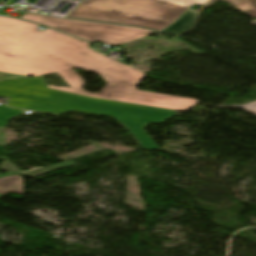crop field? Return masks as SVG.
<instances>
[{"label":"crop field","mask_w":256,"mask_h":256,"mask_svg":"<svg viewBox=\"0 0 256 256\" xmlns=\"http://www.w3.org/2000/svg\"><path fill=\"white\" fill-rule=\"evenodd\" d=\"M37 0H27V3H31V4H33V3H35Z\"/></svg>","instance_id":"12"},{"label":"crop field","mask_w":256,"mask_h":256,"mask_svg":"<svg viewBox=\"0 0 256 256\" xmlns=\"http://www.w3.org/2000/svg\"><path fill=\"white\" fill-rule=\"evenodd\" d=\"M195 19H196V12L194 10L189 9L179 19H177L171 26L162 30V32L176 34L179 32L186 31L192 27Z\"/></svg>","instance_id":"7"},{"label":"crop field","mask_w":256,"mask_h":256,"mask_svg":"<svg viewBox=\"0 0 256 256\" xmlns=\"http://www.w3.org/2000/svg\"><path fill=\"white\" fill-rule=\"evenodd\" d=\"M24 114L20 109L7 108L0 105V127L5 128L11 117Z\"/></svg>","instance_id":"9"},{"label":"crop field","mask_w":256,"mask_h":256,"mask_svg":"<svg viewBox=\"0 0 256 256\" xmlns=\"http://www.w3.org/2000/svg\"><path fill=\"white\" fill-rule=\"evenodd\" d=\"M76 165L75 163H69V162H65V163H61V164H57L55 166L49 167L47 169H44L42 167H38V168H34L31 170H27V171H19L12 163H10L7 159L2 163L1 165V169L8 171V172H16L19 173L21 175L27 176V177H36V176H40L43 174H47L53 171H57L69 166H73Z\"/></svg>","instance_id":"5"},{"label":"crop field","mask_w":256,"mask_h":256,"mask_svg":"<svg viewBox=\"0 0 256 256\" xmlns=\"http://www.w3.org/2000/svg\"><path fill=\"white\" fill-rule=\"evenodd\" d=\"M23 190L24 184L21 176L11 173L0 175V197L8 192L22 195Z\"/></svg>","instance_id":"6"},{"label":"crop field","mask_w":256,"mask_h":256,"mask_svg":"<svg viewBox=\"0 0 256 256\" xmlns=\"http://www.w3.org/2000/svg\"><path fill=\"white\" fill-rule=\"evenodd\" d=\"M208 0H83L66 17L162 30Z\"/></svg>","instance_id":"3"},{"label":"crop field","mask_w":256,"mask_h":256,"mask_svg":"<svg viewBox=\"0 0 256 256\" xmlns=\"http://www.w3.org/2000/svg\"><path fill=\"white\" fill-rule=\"evenodd\" d=\"M0 95L11 97L8 106L63 113L78 110L114 116L137 139L144 149H160L143 130L148 123H161L176 111L82 97L46 88L44 78L0 82Z\"/></svg>","instance_id":"2"},{"label":"crop field","mask_w":256,"mask_h":256,"mask_svg":"<svg viewBox=\"0 0 256 256\" xmlns=\"http://www.w3.org/2000/svg\"><path fill=\"white\" fill-rule=\"evenodd\" d=\"M236 106H240L256 116V102H253V103L247 104V105H236ZM220 107H229V106H220Z\"/></svg>","instance_id":"10"},{"label":"crop field","mask_w":256,"mask_h":256,"mask_svg":"<svg viewBox=\"0 0 256 256\" xmlns=\"http://www.w3.org/2000/svg\"><path fill=\"white\" fill-rule=\"evenodd\" d=\"M215 0L208 1L204 6H208ZM238 8L239 10L247 13L251 17H256V0H223ZM214 3V2H213Z\"/></svg>","instance_id":"8"},{"label":"crop field","mask_w":256,"mask_h":256,"mask_svg":"<svg viewBox=\"0 0 256 256\" xmlns=\"http://www.w3.org/2000/svg\"><path fill=\"white\" fill-rule=\"evenodd\" d=\"M21 19L57 28L90 42L101 41L111 46L126 40H136L144 35L153 32L139 28H130L67 19L48 18L29 13H26L24 16L21 17Z\"/></svg>","instance_id":"4"},{"label":"crop field","mask_w":256,"mask_h":256,"mask_svg":"<svg viewBox=\"0 0 256 256\" xmlns=\"http://www.w3.org/2000/svg\"><path fill=\"white\" fill-rule=\"evenodd\" d=\"M37 26L0 16V72L30 77L57 72L72 89L47 87L156 108L186 111L198 103L195 99L135 90L145 74L89 48L86 42L50 29L40 32ZM72 68L95 72L107 85L100 94L85 92L82 86L86 82Z\"/></svg>","instance_id":"1"},{"label":"crop field","mask_w":256,"mask_h":256,"mask_svg":"<svg viewBox=\"0 0 256 256\" xmlns=\"http://www.w3.org/2000/svg\"><path fill=\"white\" fill-rule=\"evenodd\" d=\"M20 78H29V77H23V76H17V75L0 73V81L12 80V79H20Z\"/></svg>","instance_id":"11"}]
</instances>
